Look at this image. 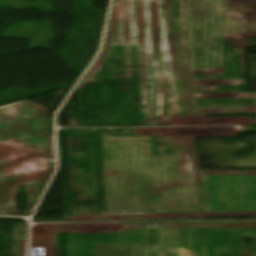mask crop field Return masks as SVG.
I'll return each mask as SVG.
<instances>
[{
	"label": "crop field",
	"instance_id": "obj_1",
	"mask_svg": "<svg viewBox=\"0 0 256 256\" xmlns=\"http://www.w3.org/2000/svg\"><path fill=\"white\" fill-rule=\"evenodd\" d=\"M106 215L201 218L185 135L101 136Z\"/></svg>",
	"mask_w": 256,
	"mask_h": 256
},
{
	"label": "crop field",
	"instance_id": "obj_2",
	"mask_svg": "<svg viewBox=\"0 0 256 256\" xmlns=\"http://www.w3.org/2000/svg\"><path fill=\"white\" fill-rule=\"evenodd\" d=\"M112 45H138L143 125L183 126L159 0H115L104 52L80 88L94 80Z\"/></svg>",
	"mask_w": 256,
	"mask_h": 256
},
{
	"label": "crop field",
	"instance_id": "obj_3",
	"mask_svg": "<svg viewBox=\"0 0 256 256\" xmlns=\"http://www.w3.org/2000/svg\"><path fill=\"white\" fill-rule=\"evenodd\" d=\"M50 172L44 109L0 107V214H13L10 184L46 182Z\"/></svg>",
	"mask_w": 256,
	"mask_h": 256
},
{
	"label": "crop field",
	"instance_id": "obj_4",
	"mask_svg": "<svg viewBox=\"0 0 256 256\" xmlns=\"http://www.w3.org/2000/svg\"><path fill=\"white\" fill-rule=\"evenodd\" d=\"M137 245L97 243V256H136Z\"/></svg>",
	"mask_w": 256,
	"mask_h": 256
},
{
	"label": "crop field",
	"instance_id": "obj_5",
	"mask_svg": "<svg viewBox=\"0 0 256 256\" xmlns=\"http://www.w3.org/2000/svg\"><path fill=\"white\" fill-rule=\"evenodd\" d=\"M201 212H212L210 177H194Z\"/></svg>",
	"mask_w": 256,
	"mask_h": 256
},
{
	"label": "crop field",
	"instance_id": "obj_6",
	"mask_svg": "<svg viewBox=\"0 0 256 256\" xmlns=\"http://www.w3.org/2000/svg\"><path fill=\"white\" fill-rule=\"evenodd\" d=\"M180 248L138 246L137 256H179Z\"/></svg>",
	"mask_w": 256,
	"mask_h": 256
},
{
	"label": "crop field",
	"instance_id": "obj_7",
	"mask_svg": "<svg viewBox=\"0 0 256 256\" xmlns=\"http://www.w3.org/2000/svg\"><path fill=\"white\" fill-rule=\"evenodd\" d=\"M202 217H226V216H254L256 213H229V214H212L201 213Z\"/></svg>",
	"mask_w": 256,
	"mask_h": 256
},
{
	"label": "crop field",
	"instance_id": "obj_8",
	"mask_svg": "<svg viewBox=\"0 0 256 256\" xmlns=\"http://www.w3.org/2000/svg\"><path fill=\"white\" fill-rule=\"evenodd\" d=\"M180 256H192V249L181 248Z\"/></svg>",
	"mask_w": 256,
	"mask_h": 256
},
{
	"label": "crop field",
	"instance_id": "obj_9",
	"mask_svg": "<svg viewBox=\"0 0 256 256\" xmlns=\"http://www.w3.org/2000/svg\"><path fill=\"white\" fill-rule=\"evenodd\" d=\"M250 255H251V252L245 250V256H250Z\"/></svg>",
	"mask_w": 256,
	"mask_h": 256
}]
</instances>
